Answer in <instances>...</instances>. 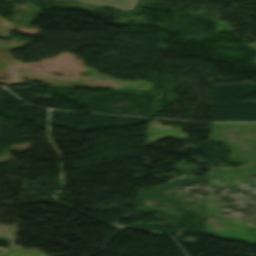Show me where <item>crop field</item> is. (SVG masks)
Returning <instances> with one entry per match:
<instances>
[{"label": "crop field", "mask_w": 256, "mask_h": 256, "mask_svg": "<svg viewBox=\"0 0 256 256\" xmlns=\"http://www.w3.org/2000/svg\"><path fill=\"white\" fill-rule=\"evenodd\" d=\"M89 5L109 6L112 8L133 11L138 0H68Z\"/></svg>", "instance_id": "8a807250"}, {"label": "crop field", "mask_w": 256, "mask_h": 256, "mask_svg": "<svg viewBox=\"0 0 256 256\" xmlns=\"http://www.w3.org/2000/svg\"><path fill=\"white\" fill-rule=\"evenodd\" d=\"M10 23L0 17V35L9 34Z\"/></svg>", "instance_id": "ac0d7876"}, {"label": "crop field", "mask_w": 256, "mask_h": 256, "mask_svg": "<svg viewBox=\"0 0 256 256\" xmlns=\"http://www.w3.org/2000/svg\"><path fill=\"white\" fill-rule=\"evenodd\" d=\"M9 251H10V249L0 248V256L6 254Z\"/></svg>", "instance_id": "34b2d1b8"}, {"label": "crop field", "mask_w": 256, "mask_h": 256, "mask_svg": "<svg viewBox=\"0 0 256 256\" xmlns=\"http://www.w3.org/2000/svg\"><path fill=\"white\" fill-rule=\"evenodd\" d=\"M5 1H8V0H5Z\"/></svg>", "instance_id": "412701ff"}]
</instances>
